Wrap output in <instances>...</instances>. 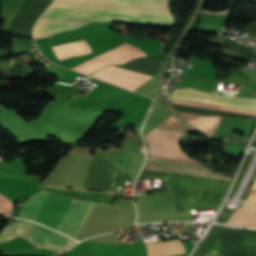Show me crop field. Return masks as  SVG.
<instances>
[{"mask_svg":"<svg viewBox=\"0 0 256 256\" xmlns=\"http://www.w3.org/2000/svg\"><path fill=\"white\" fill-rule=\"evenodd\" d=\"M168 0H56L53 4L169 12ZM51 5L42 16L172 25L170 13Z\"/></svg>","mask_w":256,"mask_h":256,"instance_id":"1","label":"crop field"},{"mask_svg":"<svg viewBox=\"0 0 256 256\" xmlns=\"http://www.w3.org/2000/svg\"><path fill=\"white\" fill-rule=\"evenodd\" d=\"M71 201L72 199L70 198L54 196L48 193L38 210L34 221L56 230ZM93 205V202L73 199L70 207L59 224L57 231L76 238L87 220Z\"/></svg>","mask_w":256,"mask_h":256,"instance_id":"2","label":"crop field"},{"mask_svg":"<svg viewBox=\"0 0 256 256\" xmlns=\"http://www.w3.org/2000/svg\"><path fill=\"white\" fill-rule=\"evenodd\" d=\"M172 102L256 116V100L212 95L193 88L172 92Z\"/></svg>","mask_w":256,"mask_h":256,"instance_id":"3","label":"crop field"},{"mask_svg":"<svg viewBox=\"0 0 256 256\" xmlns=\"http://www.w3.org/2000/svg\"><path fill=\"white\" fill-rule=\"evenodd\" d=\"M17 236L30 240L36 248H48L58 252L75 243L73 240L36 223L21 220L6 225L0 231V242Z\"/></svg>","mask_w":256,"mask_h":256,"instance_id":"4","label":"crop field"},{"mask_svg":"<svg viewBox=\"0 0 256 256\" xmlns=\"http://www.w3.org/2000/svg\"><path fill=\"white\" fill-rule=\"evenodd\" d=\"M181 132L178 130L155 128L146 137L148 156L193 161L177 145Z\"/></svg>","mask_w":256,"mask_h":256,"instance_id":"5","label":"crop field"},{"mask_svg":"<svg viewBox=\"0 0 256 256\" xmlns=\"http://www.w3.org/2000/svg\"><path fill=\"white\" fill-rule=\"evenodd\" d=\"M91 76L132 91L144 81L151 78V76L124 70L114 66L104 67Z\"/></svg>","mask_w":256,"mask_h":256,"instance_id":"6","label":"crop field"},{"mask_svg":"<svg viewBox=\"0 0 256 256\" xmlns=\"http://www.w3.org/2000/svg\"><path fill=\"white\" fill-rule=\"evenodd\" d=\"M87 23L88 22L84 21L40 18L35 26L34 38L44 37L62 31L74 29Z\"/></svg>","mask_w":256,"mask_h":256,"instance_id":"7","label":"crop field"},{"mask_svg":"<svg viewBox=\"0 0 256 256\" xmlns=\"http://www.w3.org/2000/svg\"><path fill=\"white\" fill-rule=\"evenodd\" d=\"M229 223L256 228V180L243 207L234 213Z\"/></svg>","mask_w":256,"mask_h":256,"instance_id":"8","label":"crop field"},{"mask_svg":"<svg viewBox=\"0 0 256 256\" xmlns=\"http://www.w3.org/2000/svg\"><path fill=\"white\" fill-rule=\"evenodd\" d=\"M148 256H171L183 254V244L178 240L146 244Z\"/></svg>","mask_w":256,"mask_h":256,"instance_id":"9","label":"crop field"},{"mask_svg":"<svg viewBox=\"0 0 256 256\" xmlns=\"http://www.w3.org/2000/svg\"><path fill=\"white\" fill-rule=\"evenodd\" d=\"M52 48L59 60L71 56H82L92 52L85 40L54 46Z\"/></svg>","mask_w":256,"mask_h":256,"instance_id":"10","label":"crop field"},{"mask_svg":"<svg viewBox=\"0 0 256 256\" xmlns=\"http://www.w3.org/2000/svg\"><path fill=\"white\" fill-rule=\"evenodd\" d=\"M177 113L193 126L211 135L214 134L222 118V117H216V116L203 117V116H197V115L180 113V112H177Z\"/></svg>","mask_w":256,"mask_h":256,"instance_id":"11","label":"crop field"},{"mask_svg":"<svg viewBox=\"0 0 256 256\" xmlns=\"http://www.w3.org/2000/svg\"><path fill=\"white\" fill-rule=\"evenodd\" d=\"M46 193L41 189L38 193L30 196L26 205L24 204L20 217L32 221Z\"/></svg>","mask_w":256,"mask_h":256,"instance_id":"12","label":"crop field"},{"mask_svg":"<svg viewBox=\"0 0 256 256\" xmlns=\"http://www.w3.org/2000/svg\"><path fill=\"white\" fill-rule=\"evenodd\" d=\"M0 203L10 207V208H13V202H11V200L7 199L6 197H4L3 195L0 194ZM0 204V213L1 214H6V215H10L11 214V211L12 209L4 206Z\"/></svg>","mask_w":256,"mask_h":256,"instance_id":"13","label":"crop field"},{"mask_svg":"<svg viewBox=\"0 0 256 256\" xmlns=\"http://www.w3.org/2000/svg\"><path fill=\"white\" fill-rule=\"evenodd\" d=\"M3 158L2 157H0V161L2 160Z\"/></svg>","mask_w":256,"mask_h":256,"instance_id":"14","label":"crop field"}]
</instances>
